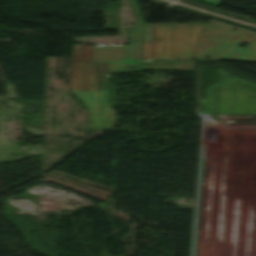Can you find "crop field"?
I'll return each mask as SVG.
<instances>
[{
  "instance_id": "1",
  "label": "crop field",
  "mask_w": 256,
  "mask_h": 256,
  "mask_svg": "<svg viewBox=\"0 0 256 256\" xmlns=\"http://www.w3.org/2000/svg\"><path fill=\"white\" fill-rule=\"evenodd\" d=\"M209 25L145 24L143 58L192 59Z\"/></svg>"
},
{
  "instance_id": "5",
  "label": "crop field",
  "mask_w": 256,
  "mask_h": 256,
  "mask_svg": "<svg viewBox=\"0 0 256 256\" xmlns=\"http://www.w3.org/2000/svg\"><path fill=\"white\" fill-rule=\"evenodd\" d=\"M79 98L93 107L95 129H113L108 91H80Z\"/></svg>"
},
{
  "instance_id": "7",
  "label": "crop field",
  "mask_w": 256,
  "mask_h": 256,
  "mask_svg": "<svg viewBox=\"0 0 256 256\" xmlns=\"http://www.w3.org/2000/svg\"><path fill=\"white\" fill-rule=\"evenodd\" d=\"M197 1H201V2L211 4V5L219 6L220 0H197Z\"/></svg>"
},
{
  "instance_id": "2",
  "label": "crop field",
  "mask_w": 256,
  "mask_h": 256,
  "mask_svg": "<svg viewBox=\"0 0 256 256\" xmlns=\"http://www.w3.org/2000/svg\"><path fill=\"white\" fill-rule=\"evenodd\" d=\"M242 42L248 47H238ZM256 61V34L212 21L193 59Z\"/></svg>"
},
{
  "instance_id": "3",
  "label": "crop field",
  "mask_w": 256,
  "mask_h": 256,
  "mask_svg": "<svg viewBox=\"0 0 256 256\" xmlns=\"http://www.w3.org/2000/svg\"><path fill=\"white\" fill-rule=\"evenodd\" d=\"M138 23L130 30L129 45H95L92 61H110L109 72L140 71L143 23L135 0H130Z\"/></svg>"
},
{
  "instance_id": "4",
  "label": "crop field",
  "mask_w": 256,
  "mask_h": 256,
  "mask_svg": "<svg viewBox=\"0 0 256 256\" xmlns=\"http://www.w3.org/2000/svg\"><path fill=\"white\" fill-rule=\"evenodd\" d=\"M92 46L73 47L70 91L77 98L79 90H108V63L91 61Z\"/></svg>"
},
{
  "instance_id": "6",
  "label": "crop field",
  "mask_w": 256,
  "mask_h": 256,
  "mask_svg": "<svg viewBox=\"0 0 256 256\" xmlns=\"http://www.w3.org/2000/svg\"><path fill=\"white\" fill-rule=\"evenodd\" d=\"M88 109H89V119H90V128H94V124H93V114H92V108L91 106L85 104Z\"/></svg>"
}]
</instances>
